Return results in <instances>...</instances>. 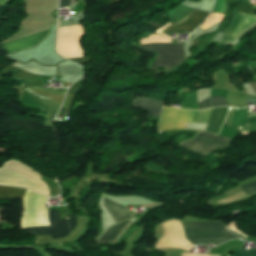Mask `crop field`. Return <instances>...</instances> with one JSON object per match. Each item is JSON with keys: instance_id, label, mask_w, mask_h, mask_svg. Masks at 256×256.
<instances>
[{"instance_id": "crop-field-12", "label": "crop field", "mask_w": 256, "mask_h": 256, "mask_svg": "<svg viewBox=\"0 0 256 256\" xmlns=\"http://www.w3.org/2000/svg\"><path fill=\"white\" fill-rule=\"evenodd\" d=\"M212 107L215 106H227L225 98L222 97H211Z\"/></svg>"}, {"instance_id": "crop-field-8", "label": "crop field", "mask_w": 256, "mask_h": 256, "mask_svg": "<svg viewBox=\"0 0 256 256\" xmlns=\"http://www.w3.org/2000/svg\"><path fill=\"white\" fill-rule=\"evenodd\" d=\"M104 205L106 209L112 214L116 223L132 217V215L127 211L126 208L108 200L107 198H104Z\"/></svg>"}, {"instance_id": "crop-field-10", "label": "crop field", "mask_w": 256, "mask_h": 256, "mask_svg": "<svg viewBox=\"0 0 256 256\" xmlns=\"http://www.w3.org/2000/svg\"><path fill=\"white\" fill-rule=\"evenodd\" d=\"M130 221H123L111 228H109L99 239V241L114 242L119 234L127 227Z\"/></svg>"}, {"instance_id": "crop-field-9", "label": "crop field", "mask_w": 256, "mask_h": 256, "mask_svg": "<svg viewBox=\"0 0 256 256\" xmlns=\"http://www.w3.org/2000/svg\"><path fill=\"white\" fill-rule=\"evenodd\" d=\"M132 105L149 110V115L159 117L162 109V104L157 101L150 100V99H140Z\"/></svg>"}, {"instance_id": "crop-field-11", "label": "crop field", "mask_w": 256, "mask_h": 256, "mask_svg": "<svg viewBox=\"0 0 256 256\" xmlns=\"http://www.w3.org/2000/svg\"><path fill=\"white\" fill-rule=\"evenodd\" d=\"M246 195L256 192V182L241 186Z\"/></svg>"}, {"instance_id": "crop-field-5", "label": "crop field", "mask_w": 256, "mask_h": 256, "mask_svg": "<svg viewBox=\"0 0 256 256\" xmlns=\"http://www.w3.org/2000/svg\"><path fill=\"white\" fill-rule=\"evenodd\" d=\"M197 135L222 141V142H226V143H228L231 140L228 138H223V137H219V136L208 134V133H199ZM214 140L196 136L192 140L186 141L181 145L203 156H207V154L213 151L216 147L225 148L227 145L225 143L214 141Z\"/></svg>"}, {"instance_id": "crop-field-16", "label": "crop field", "mask_w": 256, "mask_h": 256, "mask_svg": "<svg viewBox=\"0 0 256 256\" xmlns=\"http://www.w3.org/2000/svg\"><path fill=\"white\" fill-rule=\"evenodd\" d=\"M70 4V0H61V4H60V7H64L66 5Z\"/></svg>"}, {"instance_id": "crop-field-2", "label": "crop field", "mask_w": 256, "mask_h": 256, "mask_svg": "<svg viewBox=\"0 0 256 256\" xmlns=\"http://www.w3.org/2000/svg\"><path fill=\"white\" fill-rule=\"evenodd\" d=\"M182 224L184 226L187 239H189L194 244L212 243L216 246L231 238H238L232 233L228 232L221 222Z\"/></svg>"}, {"instance_id": "crop-field-7", "label": "crop field", "mask_w": 256, "mask_h": 256, "mask_svg": "<svg viewBox=\"0 0 256 256\" xmlns=\"http://www.w3.org/2000/svg\"><path fill=\"white\" fill-rule=\"evenodd\" d=\"M49 30L42 31L9 43L1 44L3 51L6 53L14 52L20 49L31 47L37 44L44 36L48 33Z\"/></svg>"}, {"instance_id": "crop-field-13", "label": "crop field", "mask_w": 256, "mask_h": 256, "mask_svg": "<svg viewBox=\"0 0 256 256\" xmlns=\"http://www.w3.org/2000/svg\"><path fill=\"white\" fill-rule=\"evenodd\" d=\"M234 256H256V250L236 251Z\"/></svg>"}, {"instance_id": "crop-field-17", "label": "crop field", "mask_w": 256, "mask_h": 256, "mask_svg": "<svg viewBox=\"0 0 256 256\" xmlns=\"http://www.w3.org/2000/svg\"><path fill=\"white\" fill-rule=\"evenodd\" d=\"M250 85L252 86V88L254 89V91L256 93V83L255 82H251Z\"/></svg>"}, {"instance_id": "crop-field-3", "label": "crop field", "mask_w": 256, "mask_h": 256, "mask_svg": "<svg viewBox=\"0 0 256 256\" xmlns=\"http://www.w3.org/2000/svg\"><path fill=\"white\" fill-rule=\"evenodd\" d=\"M141 48L160 52L150 68L152 70H156L157 67L170 70L185 59L183 44H150L142 45Z\"/></svg>"}, {"instance_id": "crop-field-1", "label": "crop field", "mask_w": 256, "mask_h": 256, "mask_svg": "<svg viewBox=\"0 0 256 256\" xmlns=\"http://www.w3.org/2000/svg\"><path fill=\"white\" fill-rule=\"evenodd\" d=\"M26 190L0 187V200L19 198L22 199ZM47 197L33 191H27L24 199V213L21 227H36L51 224L52 239L61 238L70 233L65 217L59 221V211L45 208ZM27 234H51L50 226L23 229Z\"/></svg>"}, {"instance_id": "crop-field-14", "label": "crop field", "mask_w": 256, "mask_h": 256, "mask_svg": "<svg viewBox=\"0 0 256 256\" xmlns=\"http://www.w3.org/2000/svg\"><path fill=\"white\" fill-rule=\"evenodd\" d=\"M198 105H199V109L210 108L211 107L210 99L208 98V99L198 103Z\"/></svg>"}, {"instance_id": "crop-field-4", "label": "crop field", "mask_w": 256, "mask_h": 256, "mask_svg": "<svg viewBox=\"0 0 256 256\" xmlns=\"http://www.w3.org/2000/svg\"><path fill=\"white\" fill-rule=\"evenodd\" d=\"M200 111L179 110L165 106L159 122V131L184 129L185 122H196Z\"/></svg>"}, {"instance_id": "crop-field-15", "label": "crop field", "mask_w": 256, "mask_h": 256, "mask_svg": "<svg viewBox=\"0 0 256 256\" xmlns=\"http://www.w3.org/2000/svg\"><path fill=\"white\" fill-rule=\"evenodd\" d=\"M76 225V218L74 215H69V226H70V230L72 232V230L74 229Z\"/></svg>"}, {"instance_id": "crop-field-6", "label": "crop field", "mask_w": 256, "mask_h": 256, "mask_svg": "<svg viewBox=\"0 0 256 256\" xmlns=\"http://www.w3.org/2000/svg\"><path fill=\"white\" fill-rule=\"evenodd\" d=\"M208 13L203 11H192L188 16L178 23L172 25L162 33L174 31H192L194 30L207 16Z\"/></svg>"}]
</instances>
